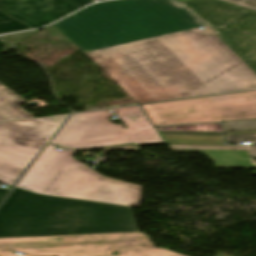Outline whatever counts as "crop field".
<instances>
[{"mask_svg":"<svg viewBox=\"0 0 256 256\" xmlns=\"http://www.w3.org/2000/svg\"><path fill=\"white\" fill-rule=\"evenodd\" d=\"M251 11H256V0H220Z\"/></svg>","mask_w":256,"mask_h":256,"instance_id":"obj_15","label":"crop field"},{"mask_svg":"<svg viewBox=\"0 0 256 256\" xmlns=\"http://www.w3.org/2000/svg\"><path fill=\"white\" fill-rule=\"evenodd\" d=\"M25 29L31 28L0 12V34Z\"/></svg>","mask_w":256,"mask_h":256,"instance_id":"obj_14","label":"crop field"},{"mask_svg":"<svg viewBox=\"0 0 256 256\" xmlns=\"http://www.w3.org/2000/svg\"><path fill=\"white\" fill-rule=\"evenodd\" d=\"M139 232L129 207L15 188L0 207V238Z\"/></svg>","mask_w":256,"mask_h":256,"instance_id":"obj_2","label":"crop field"},{"mask_svg":"<svg viewBox=\"0 0 256 256\" xmlns=\"http://www.w3.org/2000/svg\"><path fill=\"white\" fill-rule=\"evenodd\" d=\"M106 151L110 150H118V149H125L126 151L128 150H133V151H140L139 146L136 145H126V146H116V147H106L103 148Z\"/></svg>","mask_w":256,"mask_h":256,"instance_id":"obj_16","label":"crop field"},{"mask_svg":"<svg viewBox=\"0 0 256 256\" xmlns=\"http://www.w3.org/2000/svg\"><path fill=\"white\" fill-rule=\"evenodd\" d=\"M0 51H2V41H0Z\"/></svg>","mask_w":256,"mask_h":256,"instance_id":"obj_21","label":"crop field"},{"mask_svg":"<svg viewBox=\"0 0 256 256\" xmlns=\"http://www.w3.org/2000/svg\"><path fill=\"white\" fill-rule=\"evenodd\" d=\"M126 124L110 122L108 110L73 114L50 142L68 149H88L126 143H164L156 129L150 125L140 107L114 109Z\"/></svg>","mask_w":256,"mask_h":256,"instance_id":"obj_4","label":"crop field"},{"mask_svg":"<svg viewBox=\"0 0 256 256\" xmlns=\"http://www.w3.org/2000/svg\"><path fill=\"white\" fill-rule=\"evenodd\" d=\"M68 115L0 123V182L13 186Z\"/></svg>","mask_w":256,"mask_h":256,"instance_id":"obj_7","label":"crop field"},{"mask_svg":"<svg viewBox=\"0 0 256 256\" xmlns=\"http://www.w3.org/2000/svg\"><path fill=\"white\" fill-rule=\"evenodd\" d=\"M22 98L0 84V122L34 118L19 107Z\"/></svg>","mask_w":256,"mask_h":256,"instance_id":"obj_12","label":"crop field"},{"mask_svg":"<svg viewBox=\"0 0 256 256\" xmlns=\"http://www.w3.org/2000/svg\"><path fill=\"white\" fill-rule=\"evenodd\" d=\"M256 74V14L224 3L181 2Z\"/></svg>","mask_w":256,"mask_h":256,"instance_id":"obj_8","label":"crop field"},{"mask_svg":"<svg viewBox=\"0 0 256 256\" xmlns=\"http://www.w3.org/2000/svg\"><path fill=\"white\" fill-rule=\"evenodd\" d=\"M173 151L201 152L207 155L218 168H256L249 158L246 146H196L169 145Z\"/></svg>","mask_w":256,"mask_h":256,"instance_id":"obj_10","label":"crop field"},{"mask_svg":"<svg viewBox=\"0 0 256 256\" xmlns=\"http://www.w3.org/2000/svg\"><path fill=\"white\" fill-rule=\"evenodd\" d=\"M226 143L252 141L256 144V120L224 122Z\"/></svg>","mask_w":256,"mask_h":256,"instance_id":"obj_13","label":"crop field"},{"mask_svg":"<svg viewBox=\"0 0 256 256\" xmlns=\"http://www.w3.org/2000/svg\"><path fill=\"white\" fill-rule=\"evenodd\" d=\"M0 250H14L36 256H182L153 248L140 233L53 236L0 239Z\"/></svg>","mask_w":256,"mask_h":256,"instance_id":"obj_5","label":"crop field"},{"mask_svg":"<svg viewBox=\"0 0 256 256\" xmlns=\"http://www.w3.org/2000/svg\"><path fill=\"white\" fill-rule=\"evenodd\" d=\"M37 32H38V30L37 31H33V32H28V33H22V34L10 35V36H2L0 38L10 39V38H16V37H23V36L33 35V34H35Z\"/></svg>","mask_w":256,"mask_h":256,"instance_id":"obj_17","label":"crop field"},{"mask_svg":"<svg viewBox=\"0 0 256 256\" xmlns=\"http://www.w3.org/2000/svg\"><path fill=\"white\" fill-rule=\"evenodd\" d=\"M174 0H117L56 24L138 104L256 89V75Z\"/></svg>","mask_w":256,"mask_h":256,"instance_id":"obj_1","label":"crop field"},{"mask_svg":"<svg viewBox=\"0 0 256 256\" xmlns=\"http://www.w3.org/2000/svg\"><path fill=\"white\" fill-rule=\"evenodd\" d=\"M8 192V190L6 189H0V201L2 200V198L5 196V194Z\"/></svg>","mask_w":256,"mask_h":256,"instance_id":"obj_20","label":"crop field"},{"mask_svg":"<svg viewBox=\"0 0 256 256\" xmlns=\"http://www.w3.org/2000/svg\"><path fill=\"white\" fill-rule=\"evenodd\" d=\"M43 150L17 188L37 194L138 207L141 187L108 179L73 159V151Z\"/></svg>","mask_w":256,"mask_h":256,"instance_id":"obj_3","label":"crop field"},{"mask_svg":"<svg viewBox=\"0 0 256 256\" xmlns=\"http://www.w3.org/2000/svg\"><path fill=\"white\" fill-rule=\"evenodd\" d=\"M165 143L221 144V124L157 128ZM157 131V132H158Z\"/></svg>","mask_w":256,"mask_h":256,"instance_id":"obj_11","label":"crop field"},{"mask_svg":"<svg viewBox=\"0 0 256 256\" xmlns=\"http://www.w3.org/2000/svg\"><path fill=\"white\" fill-rule=\"evenodd\" d=\"M154 126L256 119V90L143 105Z\"/></svg>","mask_w":256,"mask_h":256,"instance_id":"obj_6","label":"crop field"},{"mask_svg":"<svg viewBox=\"0 0 256 256\" xmlns=\"http://www.w3.org/2000/svg\"><path fill=\"white\" fill-rule=\"evenodd\" d=\"M251 156H256V146H249Z\"/></svg>","mask_w":256,"mask_h":256,"instance_id":"obj_19","label":"crop field"},{"mask_svg":"<svg viewBox=\"0 0 256 256\" xmlns=\"http://www.w3.org/2000/svg\"><path fill=\"white\" fill-rule=\"evenodd\" d=\"M0 256H20V255L14 254L9 251H5V252H0ZM24 256H29V255H24Z\"/></svg>","mask_w":256,"mask_h":256,"instance_id":"obj_18","label":"crop field"},{"mask_svg":"<svg viewBox=\"0 0 256 256\" xmlns=\"http://www.w3.org/2000/svg\"><path fill=\"white\" fill-rule=\"evenodd\" d=\"M93 0H0V11L38 28L92 3Z\"/></svg>","mask_w":256,"mask_h":256,"instance_id":"obj_9","label":"crop field"}]
</instances>
